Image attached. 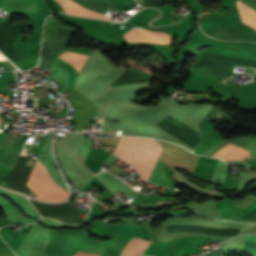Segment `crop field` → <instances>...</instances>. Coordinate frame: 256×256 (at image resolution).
<instances>
[{"mask_svg":"<svg viewBox=\"0 0 256 256\" xmlns=\"http://www.w3.org/2000/svg\"><path fill=\"white\" fill-rule=\"evenodd\" d=\"M161 146L151 139L139 137H121L113 154L130 163L147 180Z\"/></svg>","mask_w":256,"mask_h":256,"instance_id":"obj_1","label":"crop field"},{"mask_svg":"<svg viewBox=\"0 0 256 256\" xmlns=\"http://www.w3.org/2000/svg\"><path fill=\"white\" fill-rule=\"evenodd\" d=\"M27 185L38 197L45 200L61 201L64 200L67 195V192L61 189L51 179L47 170L39 161H36Z\"/></svg>","mask_w":256,"mask_h":256,"instance_id":"obj_2","label":"crop field"},{"mask_svg":"<svg viewBox=\"0 0 256 256\" xmlns=\"http://www.w3.org/2000/svg\"><path fill=\"white\" fill-rule=\"evenodd\" d=\"M124 37L129 42H153L157 44H168L170 42V36L166 33L146 29H132Z\"/></svg>","mask_w":256,"mask_h":256,"instance_id":"obj_3","label":"crop field"},{"mask_svg":"<svg viewBox=\"0 0 256 256\" xmlns=\"http://www.w3.org/2000/svg\"><path fill=\"white\" fill-rule=\"evenodd\" d=\"M256 3V0H251ZM250 0H238L237 6L241 20L256 29V4Z\"/></svg>","mask_w":256,"mask_h":256,"instance_id":"obj_4","label":"crop field"},{"mask_svg":"<svg viewBox=\"0 0 256 256\" xmlns=\"http://www.w3.org/2000/svg\"><path fill=\"white\" fill-rule=\"evenodd\" d=\"M170 233L174 232H182V231H194V232H204L219 236H229V235H237L239 230H219L207 227H199V226H191V225H181V226H172L168 227Z\"/></svg>","mask_w":256,"mask_h":256,"instance_id":"obj_5","label":"crop field"},{"mask_svg":"<svg viewBox=\"0 0 256 256\" xmlns=\"http://www.w3.org/2000/svg\"><path fill=\"white\" fill-rule=\"evenodd\" d=\"M56 1L62 6V8L64 9L65 12L110 20L109 17L99 14V13H96V12H93V11H90V10H87V9L83 8L82 6L74 3L71 0H56Z\"/></svg>","mask_w":256,"mask_h":256,"instance_id":"obj_6","label":"crop field"},{"mask_svg":"<svg viewBox=\"0 0 256 256\" xmlns=\"http://www.w3.org/2000/svg\"><path fill=\"white\" fill-rule=\"evenodd\" d=\"M248 153H249L248 151L229 143L220 151L215 153L213 157L227 159V160H238V159L248 158Z\"/></svg>","mask_w":256,"mask_h":256,"instance_id":"obj_7","label":"crop field"},{"mask_svg":"<svg viewBox=\"0 0 256 256\" xmlns=\"http://www.w3.org/2000/svg\"><path fill=\"white\" fill-rule=\"evenodd\" d=\"M0 6L10 12H28L35 11V0H4Z\"/></svg>","mask_w":256,"mask_h":256,"instance_id":"obj_8","label":"crop field"},{"mask_svg":"<svg viewBox=\"0 0 256 256\" xmlns=\"http://www.w3.org/2000/svg\"><path fill=\"white\" fill-rule=\"evenodd\" d=\"M97 108H77L71 121L77 122L76 130L82 131L83 124H90Z\"/></svg>","mask_w":256,"mask_h":256,"instance_id":"obj_9","label":"crop field"},{"mask_svg":"<svg viewBox=\"0 0 256 256\" xmlns=\"http://www.w3.org/2000/svg\"><path fill=\"white\" fill-rule=\"evenodd\" d=\"M75 1L79 2L80 4H82L83 6L89 9L96 10L102 13L104 12V9L106 7L117 9V6L114 0H75Z\"/></svg>","mask_w":256,"mask_h":256,"instance_id":"obj_10","label":"crop field"},{"mask_svg":"<svg viewBox=\"0 0 256 256\" xmlns=\"http://www.w3.org/2000/svg\"><path fill=\"white\" fill-rule=\"evenodd\" d=\"M49 79L63 85L61 93L68 90V71L53 64Z\"/></svg>","mask_w":256,"mask_h":256,"instance_id":"obj_11","label":"crop field"},{"mask_svg":"<svg viewBox=\"0 0 256 256\" xmlns=\"http://www.w3.org/2000/svg\"><path fill=\"white\" fill-rule=\"evenodd\" d=\"M149 182L171 188L164 176V163L158 159L149 179Z\"/></svg>","mask_w":256,"mask_h":256,"instance_id":"obj_12","label":"crop field"},{"mask_svg":"<svg viewBox=\"0 0 256 256\" xmlns=\"http://www.w3.org/2000/svg\"><path fill=\"white\" fill-rule=\"evenodd\" d=\"M58 57L70 63L79 72L88 56L66 51Z\"/></svg>","mask_w":256,"mask_h":256,"instance_id":"obj_13","label":"crop field"},{"mask_svg":"<svg viewBox=\"0 0 256 256\" xmlns=\"http://www.w3.org/2000/svg\"><path fill=\"white\" fill-rule=\"evenodd\" d=\"M68 102L71 106L74 107H90V106H96L91 101H89L86 97H84L82 94L76 92L73 90L72 94L70 95Z\"/></svg>","mask_w":256,"mask_h":256,"instance_id":"obj_14","label":"crop field"},{"mask_svg":"<svg viewBox=\"0 0 256 256\" xmlns=\"http://www.w3.org/2000/svg\"><path fill=\"white\" fill-rule=\"evenodd\" d=\"M255 210H256V201L251 205H249L247 208H245L242 212L236 214L233 217L243 219L244 217H246L247 215H249ZM245 219L256 221V211L250 214L249 216H247Z\"/></svg>","mask_w":256,"mask_h":256,"instance_id":"obj_15","label":"crop field"},{"mask_svg":"<svg viewBox=\"0 0 256 256\" xmlns=\"http://www.w3.org/2000/svg\"><path fill=\"white\" fill-rule=\"evenodd\" d=\"M244 248L256 253V235L247 236Z\"/></svg>","mask_w":256,"mask_h":256,"instance_id":"obj_16","label":"crop field"},{"mask_svg":"<svg viewBox=\"0 0 256 256\" xmlns=\"http://www.w3.org/2000/svg\"><path fill=\"white\" fill-rule=\"evenodd\" d=\"M248 163L252 164V167L256 168V160H248Z\"/></svg>","mask_w":256,"mask_h":256,"instance_id":"obj_17","label":"crop field"},{"mask_svg":"<svg viewBox=\"0 0 256 256\" xmlns=\"http://www.w3.org/2000/svg\"><path fill=\"white\" fill-rule=\"evenodd\" d=\"M141 256H150V255H147V254H144V253H143Z\"/></svg>","mask_w":256,"mask_h":256,"instance_id":"obj_18","label":"crop field"},{"mask_svg":"<svg viewBox=\"0 0 256 256\" xmlns=\"http://www.w3.org/2000/svg\"><path fill=\"white\" fill-rule=\"evenodd\" d=\"M34 162H35V161H33L31 165H34Z\"/></svg>","mask_w":256,"mask_h":256,"instance_id":"obj_19","label":"crop field"},{"mask_svg":"<svg viewBox=\"0 0 256 256\" xmlns=\"http://www.w3.org/2000/svg\"><path fill=\"white\" fill-rule=\"evenodd\" d=\"M2 119H0V122H1Z\"/></svg>","mask_w":256,"mask_h":256,"instance_id":"obj_20","label":"crop field"}]
</instances>
